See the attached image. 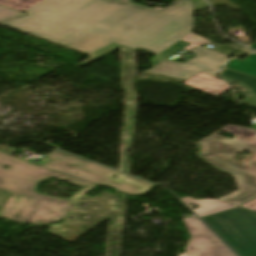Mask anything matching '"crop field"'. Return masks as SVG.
<instances>
[{
    "label": "crop field",
    "mask_w": 256,
    "mask_h": 256,
    "mask_svg": "<svg viewBox=\"0 0 256 256\" xmlns=\"http://www.w3.org/2000/svg\"><path fill=\"white\" fill-rule=\"evenodd\" d=\"M220 76L227 83L234 81L244 90L255 92L240 103L256 108V78L226 68ZM220 131L231 134L235 138L229 139L215 133L211 134L196 143L198 157L219 172L235 178L239 190L218 200L239 206L256 197V130L228 125ZM241 149L252 153L239 162L234 157Z\"/></svg>",
    "instance_id": "34b2d1b8"
},
{
    "label": "crop field",
    "mask_w": 256,
    "mask_h": 256,
    "mask_svg": "<svg viewBox=\"0 0 256 256\" xmlns=\"http://www.w3.org/2000/svg\"><path fill=\"white\" fill-rule=\"evenodd\" d=\"M194 213L199 217L221 212L233 207H236L233 204L218 201V200H195L191 197H186L181 199ZM195 204L200 208L194 210L189 204Z\"/></svg>",
    "instance_id": "d8731c3e"
},
{
    "label": "crop field",
    "mask_w": 256,
    "mask_h": 256,
    "mask_svg": "<svg viewBox=\"0 0 256 256\" xmlns=\"http://www.w3.org/2000/svg\"><path fill=\"white\" fill-rule=\"evenodd\" d=\"M225 67L256 77V54L249 55L243 61L237 59L231 60Z\"/></svg>",
    "instance_id": "5a996713"
},
{
    "label": "crop field",
    "mask_w": 256,
    "mask_h": 256,
    "mask_svg": "<svg viewBox=\"0 0 256 256\" xmlns=\"http://www.w3.org/2000/svg\"><path fill=\"white\" fill-rule=\"evenodd\" d=\"M256 213L237 208L202 218L240 256H256Z\"/></svg>",
    "instance_id": "412701ff"
},
{
    "label": "crop field",
    "mask_w": 256,
    "mask_h": 256,
    "mask_svg": "<svg viewBox=\"0 0 256 256\" xmlns=\"http://www.w3.org/2000/svg\"><path fill=\"white\" fill-rule=\"evenodd\" d=\"M189 52L197 55L185 64L166 60L150 68L147 70V72L166 75L183 80H187L200 72H204L216 78L228 57L227 55L213 52L200 46L191 49Z\"/></svg>",
    "instance_id": "f4fd0767"
},
{
    "label": "crop field",
    "mask_w": 256,
    "mask_h": 256,
    "mask_svg": "<svg viewBox=\"0 0 256 256\" xmlns=\"http://www.w3.org/2000/svg\"><path fill=\"white\" fill-rule=\"evenodd\" d=\"M184 84L204 91L206 93L212 94L214 96L229 89L228 86L222 81L214 79L204 73H200L195 77L185 81Z\"/></svg>",
    "instance_id": "e52e79f7"
},
{
    "label": "crop field",
    "mask_w": 256,
    "mask_h": 256,
    "mask_svg": "<svg viewBox=\"0 0 256 256\" xmlns=\"http://www.w3.org/2000/svg\"><path fill=\"white\" fill-rule=\"evenodd\" d=\"M179 50L180 49L169 47L166 50H164L163 52H161L158 55L154 56L151 60L156 65L157 63L165 60L166 58L170 57L171 55H173L174 53L178 52Z\"/></svg>",
    "instance_id": "22f410ed"
},
{
    "label": "crop field",
    "mask_w": 256,
    "mask_h": 256,
    "mask_svg": "<svg viewBox=\"0 0 256 256\" xmlns=\"http://www.w3.org/2000/svg\"><path fill=\"white\" fill-rule=\"evenodd\" d=\"M25 14L26 13H23V12H20V11L14 10V9H10V8L0 5V22L6 21V20H9L12 18H16L19 16H23Z\"/></svg>",
    "instance_id": "d1516ede"
},
{
    "label": "crop field",
    "mask_w": 256,
    "mask_h": 256,
    "mask_svg": "<svg viewBox=\"0 0 256 256\" xmlns=\"http://www.w3.org/2000/svg\"><path fill=\"white\" fill-rule=\"evenodd\" d=\"M46 159L49 160L38 166L0 152V190L12 194L1 209L0 217L22 225L27 222L43 225L66 217L75 201L98 184L116 188L129 195L144 194L155 187L60 151ZM5 166L9 168H4ZM113 175L117 178H112ZM50 177L82 189L68 200L35 194L36 185Z\"/></svg>",
    "instance_id": "ac0d7876"
},
{
    "label": "crop field",
    "mask_w": 256,
    "mask_h": 256,
    "mask_svg": "<svg viewBox=\"0 0 256 256\" xmlns=\"http://www.w3.org/2000/svg\"><path fill=\"white\" fill-rule=\"evenodd\" d=\"M191 237L185 253L179 256H236L196 217L183 219Z\"/></svg>",
    "instance_id": "dd49c442"
},
{
    "label": "crop field",
    "mask_w": 256,
    "mask_h": 256,
    "mask_svg": "<svg viewBox=\"0 0 256 256\" xmlns=\"http://www.w3.org/2000/svg\"><path fill=\"white\" fill-rule=\"evenodd\" d=\"M182 40H185V41H188V42H191L193 43L192 45L184 48V50H187L195 45H198V44H205V43H209L206 39L200 37V36H197L193 33L189 34L188 36L184 37Z\"/></svg>",
    "instance_id": "cbeb9de0"
},
{
    "label": "crop field",
    "mask_w": 256,
    "mask_h": 256,
    "mask_svg": "<svg viewBox=\"0 0 256 256\" xmlns=\"http://www.w3.org/2000/svg\"><path fill=\"white\" fill-rule=\"evenodd\" d=\"M190 44H191V43H188V42H185V41L180 40V41H178L177 43H175V44L172 45V46H175V47H178V48L183 49L184 47H186V46H188V45H190Z\"/></svg>",
    "instance_id": "d9b57169"
},
{
    "label": "crop field",
    "mask_w": 256,
    "mask_h": 256,
    "mask_svg": "<svg viewBox=\"0 0 256 256\" xmlns=\"http://www.w3.org/2000/svg\"><path fill=\"white\" fill-rule=\"evenodd\" d=\"M40 1L41 0H0V4L22 11Z\"/></svg>",
    "instance_id": "3316defc"
},
{
    "label": "crop field",
    "mask_w": 256,
    "mask_h": 256,
    "mask_svg": "<svg viewBox=\"0 0 256 256\" xmlns=\"http://www.w3.org/2000/svg\"><path fill=\"white\" fill-rule=\"evenodd\" d=\"M120 47L121 46H118L116 44L111 43V44H109V45H107V46H105V47H103V48H101V49L91 53L88 56V57H91L90 59H88V60H86V61H84V62H82V63H80L78 65L84 66V65H86V64H88V63H90V62H92V61H94V60H96V59H98V58H100V57H102V56H104V55H106V54H108V53L118 49V48H120Z\"/></svg>",
    "instance_id": "28ad6ade"
},
{
    "label": "crop field",
    "mask_w": 256,
    "mask_h": 256,
    "mask_svg": "<svg viewBox=\"0 0 256 256\" xmlns=\"http://www.w3.org/2000/svg\"><path fill=\"white\" fill-rule=\"evenodd\" d=\"M241 206L256 211V199H254L252 201H249V202H247V203H245V204H243Z\"/></svg>",
    "instance_id": "5142ce71"
},
{
    "label": "crop field",
    "mask_w": 256,
    "mask_h": 256,
    "mask_svg": "<svg viewBox=\"0 0 256 256\" xmlns=\"http://www.w3.org/2000/svg\"><path fill=\"white\" fill-rule=\"evenodd\" d=\"M250 48H253V49H255V50H256V43H255V44H253V45H251V46H250Z\"/></svg>",
    "instance_id": "733c2abd"
},
{
    "label": "crop field",
    "mask_w": 256,
    "mask_h": 256,
    "mask_svg": "<svg viewBox=\"0 0 256 256\" xmlns=\"http://www.w3.org/2000/svg\"><path fill=\"white\" fill-rule=\"evenodd\" d=\"M23 12L0 24L87 54L114 42L156 55L194 30L191 0L160 11L118 0H43Z\"/></svg>",
    "instance_id": "8a807250"
}]
</instances>
